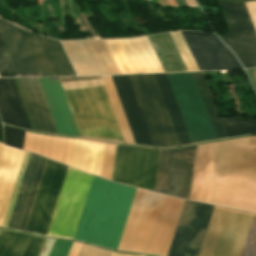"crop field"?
Returning a JSON list of instances; mask_svg holds the SVG:
<instances>
[{"label": "crop field", "mask_w": 256, "mask_h": 256, "mask_svg": "<svg viewBox=\"0 0 256 256\" xmlns=\"http://www.w3.org/2000/svg\"><path fill=\"white\" fill-rule=\"evenodd\" d=\"M188 6H197L194 0H186Z\"/></svg>", "instance_id": "crop-field-33"}, {"label": "crop field", "mask_w": 256, "mask_h": 256, "mask_svg": "<svg viewBox=\"0 0 256 256\" xmlns=\"http://www.w3.org/2000/svg\"><path fill=\"white\" fill-rule=\"evenodd\" d=\"M111 256H142V255H134V254L113 252Z\"/></svg>", "instance_id": "crop-field-32"}, {"label": "crop field", "mask_w": 256, "mask_h": 256, "mask_svg": "<svg viewBox=\"0 0 256 256\" xmlns=\"http://www.w3.org/2000/svg\"><path fill=\"white\" fill-rule=\"evenodd\" d=\"M231 34L221 36L245 68L256 66V33L244 3L220 1Z\"/></svg>", "instance_id": "crop-field-13"}, {"label": "crop field", "mask_w": 256, "mask_h": 256, "mask_svg": "<svg viewBox=\"0 0 256 256\" xmlns=\"http://www.w3.org/2000/svg\"><path fill=\"white\" fill-rule=\"evenodd\" d=\"M116 145L105 143L100 176L110 180Z\"/></svg>", "instance_id": "crop-field-27"}, {"label": "crop field", "mask_w": 256, "mask_h": 256, "mask_svg": "<svg viewBox=\"0 0 256 256\" xmlns=\"http://www.w3.org/2000/svg\"><path fill=\"white\" fill-rule=\"evenodd\" d=\"M250 137L218 142L209 203L256 213V150Z\"/></svg>", "instance_id": "crop-field-4"}, {"label": "crop field", "mask_w": 256, "mask_h": 256, "mask_svg": "<svg viewBox=\"0 0 256 256\" xmlns=\"http://www.w3.org/2000/svg\"><path fill=\"white\" fill-rule=\"evenodd\" d=\"M228 137L256 133V122L240 118L221 119Z\"/></svg>", "instance_id": "crop-field-26"}, {"label": "crop field", "mask_w": 256, "mask_h": 256, "mask_svg": "<svg viewBox=\"0 0 256 256\" xmlns=\"http://www.w3.org/2000/svg\"><path fill=\"white\" fill-rule=\"evenodd\" d=\"M213 207L184 201L168 256H198Z\"/></svg>", "instance_id": "crop-field-11"}, {"label": "crop field", "mask_w": 256, "mask_h": 256, "mask_svg": "<svg viewBox=\"0 0 256 256\" xmlns=\"http://www.w3.org/2000/svg\"><path fill=\"white\" fill-rule=\"evenodd\" d=\"M180 145L192 143L166 74H154ZM153 74L129 75L154 145L177 146ZM128 75L111 76L136 144L154 146Z\"/></svg>", "instance_id": "crop-field-1"}, {"label": "crop field", "mask_w": 256, "mask_h": 256, "mask_svg": "<svg viewBox=\"0 0 256 256\" xmlns=\"http://www.w3.org/2000/svg\"><path fill=\"white\" fill-rule=\"evenodd\" d=\"M0 116L5 124L31 130L12 79H0Z\"/></svg>", "instance_id": "crop-field-21"}, {"label": "crop field", "mask_w": 256, "mask_h": 256, "mask_svg": "<svg viewBox=\"0 0 256 256\" xmlns=\"http://www.w3.org/2000/svg\"><path fill=\"white\" fill-rule=\"evenodd\" d=\"M101 77H102V80L104 82L105 88L107 90V93H108L110 102L112 104L115 116L117 118L121 133L123 135L124 141L127 142V143L135 144L134 140L132 138L130 129L128 127L126 118L124 116L121 104L119 102L117 93L115 91L113 82L111 80V77L110 76H101Z\"/></svg>", "instance_id": "crop-field-25"}, {"label": "crop field", "mask_w": 256, "mask_h": 256, "mask_svg": "<svg viewBox=\"0 0 256 256\" xmlns=\"http://www.w3.org/2000/svg\"><path fill=\"white\" fill-rule=\"evenodd\" d=\"M62 44L78 75L121 74L104 40Z\"/></svg>", "instance_id": "crop-field-15"}, {"label": "crop field", "mask_w": 256, "mask_h": 256, "mask_svg": "<svg viewBox=\"0 0 256 256\" xmlns=\"http://www.w3.org/2000/svg\"><path fill=\"white\" fill-rule=\"evenodd\" d=\"M164 71H187L169 34L147 36Z\"/></svg>", "instance_id": "crop-field-24"}, {"label": "crop field", "mask_w": 256, "mask_h": 256, "mask_svg": "<svg viewBox=\"0 0 256 256\" xmlns=\"http://www.w3.org/2000/svg\"><path fill=\"white\" fill-rule=\"evenodd\" d=\"M67 168L65 165L47 160L25 231L47 234Z\"/></svg>", "instance_id": "crop-field-12"}, {"label": "crop field", "mask_w": 256, "mask_h": 256, "mask_svg": "<svg viewBox=\"0 0 256 256\" xmlns=\"http://www.w3.org/2000/svg\"><path fill=\"white\" fill-rule=\"evenodd\" d=\"M59 134L79 136L59 80L38 78ZM37 78L16 79L35 131L58 134Z\"/></svg>", "instance_id": "crop-field-8"}, {"label": "crop field", "mask_w": 256, "mask_h": 256, "mask_svg": "<svg viewBox=\"0 0 256 256\" xmlns=\"http://www.w3.org/2000/svg\"><path fill=\"white\" fill-rule=\"evenodd\" d=\"M73 242L56 240L49 256H67Z\"/></svg>", "instance_id": "crop-field-30"}, {"label": "crop field", "mask_w": 256, "mask_h": 256, "mask_svg": "<svg viewBox=\"0 0 256 256\" xmlns=\"http://www.w3.org/2000/svg\"><path fill=\"white\" fill-rule=\"evenodd\" d=\"M29 155V153H25L22 166L2 225L4 227L7 226ZM46 160V158L38 157L32 154L30 155L7 227L22 231L25 230Z\"/></svg>", "instance_id": "crop-field-10"}, {"label": "crop field", "mask_w": 256, "mask_h": 256, "mask_svg": "<svg viewBox=\"0 0 256 256\" xmlns=\"http://www.w3.org/2000/svg\"><path fill=\"white\" fill-rule=\"evenodd\" d=\"M45 238L0 230V256H39Z\"/></svg>", "instance_id": "crop-field-22"}, {"label": "crop field", "mask_w": 256, "mask_h": 256, "mask_svg": "<svg viewBox=\"0 0 256 256\" xmlns=\"http://www.w3.org/2000/svg\"><path fill=\"white\" fill-rule=\"evenodd\" d=\"M105 41L122 74L164 72L146 36Z\"/></svg>", "instance_id": "crop-field-14"}, {"label": "crop field", "mask_w": 256, "mask_h": 256, "mask_svg": "<svg viewBox=\"0 0 256 256\" xmlns=\"http://www.w3.org/2000/svg\"><path fill=\"white\" fill-rule=\"evenodd\" d=\"M61 84L81 137L124 142L101 79Z\"/></svg>", "instance_id": "crop-field-6"}, {"label": "crop field", "mask_w": 256, "mask_h": 256, "mask_svg": "<svg viewBox=\"0 0 256 256\" xmlns=\"http://www.w3.org/2000/svg\"><path fill=\"white\" fill-rule=\"evenodd\" d=\"M256 30V0L245 2Z\"/></svg>", "instance_id": "crop-field-31"}, {"label": "crop field", "mask_w": 256, "mask_h": 256, "mask_svg": "<svg viewBox=\"0 0 256 256\" xmlns=\"http://www.w3.org/2000/svg\"><path fill=\"white\" fill-rule=\"evenodd\" d=\"M0 37L19 75L39 74L17 28L0 20ZM0 39V77H18Z\"/></svg>", "instance_id": "crop-field-18"}, {"label": "crop field", "mask_w": 256, "mask_h": 256, "mask_svg": "<svg viewBox=\"0 0 256 256\" xmlns=\"http://www.w3.org/2000/svg\"><path fill=\"white\" fill-rule=\"evenodd\" d=\"M217 208L213 210L199 256L212 255L227 211L224 210L226 208ZM252 215L228 209L212 256H240ZM241 256H256V214L253 215Z\"/></svg>", "instance_id": "crop-field-9"}, {"label": "crop field", "mask_w": 256, "mask_h": 256, "mask_svg": "<svg viewBox=\"0 0 256 256\" xmlns=\"http://www.w3.org/2000/svg\"><path fill=\"white\" fill-rule=\"evenodd\" d=\"M82 244L73 243L68 256H77ZM112 252L82 245L78 256H110Z\"/></svg>", "instance_id": "crop-field-28"}, {"label": "crop field", "mask_w": 256, "mask_h": 256, "mask_svg": "<svg viewBox=\"0 0 256 256\" xmlns=\"http://www.w3.org/2000/svg\"><path fill=\"white\" fill-rule=\"evenodd\" d=\"M216 145L217 142L198 146L189 197L191 200L208 203Z\"/></svg>", "instance_id": "crop-field-19"}, {"label": "crop field", "mask_w": 256, "mask_h": 256, "mask_svg": "<svg viewBox=\"0 0 256 256\" xmlns=\"http://www.w3.org/2000/svg\"><path fill=\"white\" fill-rule=\"evenodd\" d=\"M3 130L5 144L22 149L25 132L5 126H3Z\"/></svg>", "instance_id": "crop-field-29"}, {"label": "crop field", "mask_w": 256, "mask_h": 256, "mask_svg": "<svg viewBox=\"0 0 256 256\" xmlns=\"http://www.w3.org/2000/svg\"><path fill=\"white\" fill-rule=\"evenodd\" d=\"M217 139L226 133L203 72L192 73ZM191 73L167 74L193 143L215 135Z\"/></svg>", "instance_id": "crop-field-7"}, {"label": "crop field", "mask_w": 256, "mask_h": 256, "mask_svg": "<svg viewBox=\"0 0 256 256\" xmlns=\"http://www.w3.org/2000/svg\"><path fill=\"white\" fill-rule=\"evenodd\" d=\"M104 143L73 139L69 166L99 176Z\"/></svg>", "instance_id": "crop-field-23"}, {"label": "crop field", "mask_w": 256, "mask_h": 256, "mask_svg": "<svg viewBox=\"0 0 256 256\" xmlns=\"http://www.w3.org/2000/svg\"><path fill=\"white\" fill-rule=\"evenodd\" d=\"M197 146L162 150L156 192L188 199ZM161 150L117 145L112 181L154 191Z\"/></svg>", "instance_id": "crop-field-2"}, {"label": "crop field", "mask_w": 256, "mask_h": 256, "mask_svg": "<svg viewBox=\"0 0 256 256\" xmlns=\"http://www.w3.org/2000/svg\"><path fill=\"white\" fill-rule=\"evenodd\" d=\"M18 30L41 76L75 75L59 42Z\"/></svg>", "instance_id": "crop-field-17"}, {"label": "crop field", "mask_w": 256, "mask_h": 256, "mask_svg": "<svg viewBox=\"0 0 256 256\" xmlns=\"http://www.w3.org/2000/svg\"><path fill=\"white\" fill-rule=\"evenodd\" d=\"M135 190L94 176L74 239L116 249Z\"/></svg>", "instance_id": "crop-field-5"}, {"label": "crop field", "mask_w": 256, "mask_h": 256, "mask_svg": "<svg viewBox=\"0 0 256 256\" xmlns=\"http://www.w3.org/2000/svg\"><path fill=\"white\" fill-rule=\"evenodd\" d=\"M183 201L137 189L117 249L167 256Z\"/></svg>", "instance_id": "crop-field-3"}, {"label": "crop field", "mask_w": 256, "mask_h": 256, "mask_svg": "<svg viewBox=\"0 0 256 256\" xmlns=\"http://www.w3.org/2000/svg\"><path fill=\"white\" fill-rule=\"evenodd\" d=\"M71 141L68 138L26 132L23 149L67 165Z\"/></svg>", "instance_id": "crop-field-20"}, {"label": "crop field", "mask_w": 256, "mask_h": 256, "mask_svg": "<svg viewBox=\"0 0 256 256\" xmlns=\"http://www.w3.org/2000/svg\"><path fill=\"white\" fill-rule=\"evenodd\" d=\"M181 33L200 70L242 69L215 35L189 31Z\"/></svg>", "instance_id": "crop-field-16"}]
</instances>
